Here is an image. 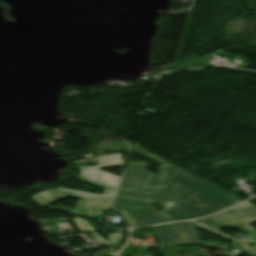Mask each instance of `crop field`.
I'll list each match as a JSON object with an SVG mask.
<instances>
[{"label":"crop field","mask_w":256,"mask_h":256,"mask_svg":"<svg viewBox=\"0 0 256 256\" xmlns=\"http://www.w3.org/2000/svg\"><path fill=\"white\" fill-rule=\"evenodd\" d=\"M236 197L178 167L161 202L171 220L177 221L223 210L240 202Z\"/></svg>","instance_id":"obj_1"},{"label":"crop field","mask_w":256,"mask_h":256,"mask_svg":"<svg viewBox=\"0 0 256 256\" xmlns=\"http://www.w3.org/2000/svg\"><path fill=\"white\" fill-rule=\"evenodd\" d=\"M165 189L118 191L112 206L127 210L136 226L169 222L163 210L156 212L150 205L161 200Z\"/></svg>","instance_id":"obj_2"},{"label":"crop field","mask_w":256,"mask_h":256,"mask_svg":"<svg viewBox=\"0 0 256 256\" xmlns=\"http://www.w3.org/2000/svg\"><path fill=\"white\" fill-rule=\"evenodd\" d=\"M196 222L218 232H221L218 229L223 226H234L248 232L249 237L255 244V247H244V250H247L248 256H256V231L249 225L256 222L255 205L247 202L211 217L196 220Z\"/></svg>","instance_id":"obj_3"},{"label":"crop field","mask_w":256,"mask_h":256,"mask_svg":"<svg viewBox=\"0 0 256 256\" xmlns=\"http://www.w3.org/2000/svg\"><path fill=\"white\" fill-rule=\"evenodd\" d=\"M144 156L162 164L158 175L144 172L145 163L130 162L118 189H143L150 187H166L176 166L165 163L162 159L152 155Z\"/></svg>","instance_id":"obj_4"},{"label":"crop field","mask_w":256,"mask_h":256,"mask_svg":"<svg viewBox=\"0 0 256 256\" xmlns=\"http://www.w3.org/2000/svg\"><path fill=\"white\" fill-rule=\"evenodd\" d=\"M153 229L162 245L203 244L227 250L224 243L211 240L199 242L200 238L192 221L154 226Z\"/></svg>","instance_id":"obj_5"},{"label":"crop field","mask_w":256,"mask_h":256,"mask_svg":"<svg viewBox=\"0 0 256 256\" xmlns=\"http://www.w3.org/2000/svg\"><path fill=\"white\" fill-rule=\"evenodd\" d=\"M96 160L100 166L79 169L80 173L86 177L116 189L120 178L96 168L123 164L121 160V154L98 157Z\"/></svg>","instance_id":"obj_6"},{"label":"crop field","mask_w":256,"mask_h":256,"mask_svg":"<svg viewBox=\"0 0 256 256\" xmlns=\"http://www.w3.org/2000/svg\"><path fill=\"white\" fill-rule=\"evenodd\" d=\"M109 204L108 202L80 198L72 215L95 219L96 216H101L103 210L108 208Z\"/></svg>","instance_id":"obj_7"},{"label":"crop field","mask_w":256,"mask_h":256,"mask_svg":"<svg viewBox=\"0 0 256 256\" xmlns=\"http://www.w3.org/2000/svg\"><path fill=\"white\" fill-rule=\"evenodd\" d=\"M77 178L79 179H82V180H85L87 182H90L96 186H99L103 189H105V193L102 194V195H97V194H91V193H85V192H79V191H73V190H67V189H61V188H57L58 192H61V193H66V194H70V195H75V196H81V197H88V198H94V199H101V200H107V201H110L112 196H113V193H114V189L110 188V187H107L105 185H102L98 182H95L93 180H90L86 177H83L81 175L77 176Z\"/></svg>","instance_id":"obj_8"},{"label":"crop field","mask_w":256,"mask_h":256,"mask_svg":"<svg viewBox=\"0 0 256 256\" xmlns=\"http://www.w3.org/2000/svg\"><path fill=\"white\" fill-rule=\"evenodd\" d=\"M67 195L61 194V193H57L56 190H47L44 192H41L35 196H33L32 198L39 204L41 205H45L49 202H52L54 200H57L61 197H64Z\"/></svg>","instance_id":"obj_9"},{"label":"crop field","mask_w":256,"mask_h":256,"mask_svg":"<svg viewBox=\"0 0 256 256\" xmlns=\"http://www.w3.org/2000/svg\"><path fill=\"white\" fill-rule=\"evenodd\" d=\"M75 223L81 229L82 232L93 230L86 220L76 218Z\"/></svg>","instance_id":"obj_10"},{"label":"crop field","mask_w":256,"mask_h":256,"mask_svg":"<svg viewBox=\"0 0 256 256\" xmlns=\"http://www.w3.org/2000/svg\"><path fill=\"white\" fill-rule=\"evenodd\" d=\"M118 210H119L120 213L122 214V216H123V218H124V220H125L127 226H128V227H134L133 224H132V222H131V220L129 219V217H128L126 211H125V210H120V209H118Z\"/></svg>","instance_id":"obj_11"},{"label":"crop field","mask_w":256,"mask_h":256,"mask_svg":"<svg viewBox=\"0 0 256 256\" xmlns=\"http://www.w3.org/2000/svg\"><path fill=\"white\" fill-rule=\"evenodd\" d=\"M199 226V225H198ZM197 226V227H198ZM201 227V226H200ZM203 228V227H202ZM204 229H206V228H204ZM206 230H208V229H206ZM209 231H211V230H209ZM211 232H213V231H211ZM213 233H215V234H217V235H220V234H218V233H216V232H213ZM220 236H222V237H224V238H226V239H228V240H230V238H228V237H225V236H223V235H220Z\"/></svg>","instance_id":"obj_12"}]
</instances>
